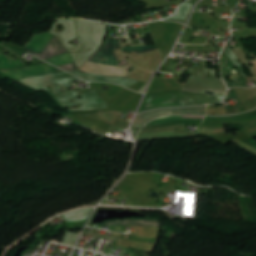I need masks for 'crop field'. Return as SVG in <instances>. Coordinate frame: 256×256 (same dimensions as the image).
<instances>
[{
	"instance_id": "obj_17",
	"label": "crop field",
	"mask_w": 256,
	"mask_h": 256,
	"mask_svg": "<svg viewBox=\"0 0 256 256\" xmlns=\"http://www.w3.org/2000/svg\"><path fill=\"white\" fill-rule=\"evenodd\" d=\"M85 234H86V235H91V236L100 237V238H107V239H111V240L117 241V238L110 237V236L99 235V234H93V233H88V232H85Z\"/></svg>"
},
{
	"instance_id": "obj_9",
	"label": "crop field",
	"mask_w": 256,
	"mask_h": 256,
	"mask_svg": "<svg viewBox=\"0 0 256 256\" xmlns=\"http://www.w3.org/2000/svg\"><path fill=\"white\" fill-rule=\"evenodd\" d=\"M226 62L229 70H222V75L223 78L226 80L229 88L233 87V86H242V87H247L246 83L244 82V80L242 79L241 75L236 71L233 63L231 62V60L229 59V57L227 56L225 50L223 51L222 55H221V67H224V63ZM231 75L234 83H230L227 79L226 76ZM238 80L239 83L236 82V80Z\"/></svg>"
},
{
	"instance_id": "obj_1",
	"label": "crop field",
	"mask_w": 256,
	"mask_h": 256,
	"mask_svg": "<svg viewBox=\"0 0 256 256\" xmlns=\"http://www.w3.org/2000/svg\"><path fill=\"white\" fill-rule=\"evenodd\" d=\"M205 89L226 92L222 79L190 76L182 90L204 92ZM214 91L213 95L189 93L180 90L148 93L139 112L163 107H183L203 104H215L224 100L226 93Z\"/></svg>"
},
{
	"instance_id": "obj_2",
	"label": "crop field",
	"mask_w": 256,
	"mask_h": 256,
	"mask_svg": "<svg viewBox=\"0 0 256 256\" xmlns=\"http://www.w3.org/2000/svg\"><path fill=\"white\" fill-rule=\"evenodd\" d=\"M24 50L66 71L78 70L71 55L58 38L50 33L34 36Z\"/></svg>"
},
{
	"instance_id": "obj_18",
	"label": "crop field",
	"mask_w": 256,
	"mask_h": 256,
	"mask_svg": "<svg viewBox=\"0 0 256 256\" xmlns=\"http://www.w3.org/2000/svg\"><path fill=\"white\" fill-rule=\"evenodd\" d=\"M132 239H134V240H139V241H143V242L154 243V244H155V242H156V240H153V239H145V238H139V237H135V236H133Z\"/></svg>"
},
{
	"instance_id": "obj_13",
	"label": "crop field",
	"mask_w": 256,
	"mask_h": 256,
	"mask_svg": "<svg viewBox=\"0 0 256 256\" xmlns=\"http://www.w3.org/2000/svg\"><path fill=\"white\" fill-rule=\"evenodd\" d=\"M193 6H194V5H192V4L188 3V2L184 3V4L179 8V10L177 11L176 15L173 16V17H171V18H169V19H167L166 21H169V20H171V19H173V18L186 19L187 16H188V14H189V12H190V10H191V8H192Z\"/></svg>"
},
{
	"instance_id": "obj_8",
	"label": "crop field",
	"mask_w": 256,
	"mask_h": 256,
	"mask_svg": "<svg viewBox=\"0 0 256 256\" xmlns=\"http://www.w3.org/2000/svg\"><path fill=\"white\" fill-rule=\"evenodd\" d=\"M86 81H106V82H113L117 83L123 86H126L128 88L134 86L137 84L138 80L129 79V78H121V77H100L96 75L86 74V73H80L79 71H72L70 72Z\"/></svg>"
},
{
	"instance_id": "obj_10",
	"label": "crop field",
	"mask_w": 256,
	"mask_h": 256,
	"mask_svg": "<svg viewBox=\"0 0 256 256\" xmlns=\"http://www.w3.org/2000/svg\"><path fill=\"white\" fill-rule=\"evenodd\" d=\"M101 225H129V226H160V221H142V220H116L107 221Z\"/></svg>"
},
{
	"instance_id": "obj_3",
	"label": "crop field",
	"mask_w": 256,
	"mask_h": 256,
	"mask_svg": "<svg viewBox=\"0 0 256 256\" xmlns=\"http://www.w3.org/2000/svg\"><path fill=\"white\" fill-rule=\"evenodd\" d=\"M101 48V47H100ZM114 49H121V40L107 39L102 48L96 52L89 61L117 66V58ZM102 60L103 62H100ZM100 65L92 62H86L80 67V70L87 71L98 75L124 76L127 75L126 68H118L114 66Z\"/></svg>"
},
{
	"instance_id": "obj_14",
	"label": "crop field",
	"mask_w": 256,
	"mask_h": 256,
	"mask_svg": "<svg viewBox=\"0 0 256 256\" xmlns=\"http://www.w3.org/2000/svg\"><path fill=\"white\" fill-rule=\"evenodd\" d=\"M226 52L228 53L230 59L232 60V62L235 64V66L238 68L240 74L242 75L243 78L247 77L244 73H243V69H242V65L241 63L237 62V57L234 54L233 50L229 48V45L227 44L226 48H225Z\"/></svg>"
},
{
	"instance_id": "obj_15",
	"label": "crop field",
	"mask_w": 256,
	"mask_h": 256,
	"mask_svg": "<svg viewBox=\"0 0 256 256\" xmlns=\"http://www.w3.org/2000/svg\"><path fill=\"white\" fill-rule=\"evenodd\" d=\"M77 237H78V234L66 231L61 243L73 246Z\"/></svg>"
},
{
	"instance_id": "obj_4",
	"label": "crop field",
	"mask_w": 256,
	"mask_h": 256,
	"mask_svg": "<svg viewBox=\"0 0 256 256\" xmlns=\"http://www.w3.org/2000/svg\"><path fill=\"white\" fill-rule=\"evenodd\" d=\"M0 68L1 72L17 81L30 76L64 72L50 64L26 68L19 60L7 59L3 53H0Z\"/></svg>"
},
{
	"instance_id": "obj_5",
	"label": "crop field",
	"mask_w": 256,
	"mask_h": 256,
	"mask_svg": "<svg viewBox=\"0 0 256 256\" xmlns=\"http://www.w3.org/2000/svg\"><path fill=\"white\" fill-rule=\"evenodd\" d=\"M77 96H80V94L77 91H67L58 95L55 100L62 108L81 104L82 108L75 110H70L69 108V112L89 111L103 109L107 107V104L103 101L98 92L94 90L82 94L83 99L81 100L77 99ZM71 100H74V102H70Z\"/></svg>"
},
{
	"instance_id": "obj_6",
	"label": "crop field",
	"mask_w": 256,
	"mask_h": 256,
	"mask_svg": "<svg viewBox=\"0 0 256 256\" xmlns=\"http://www.w3.org/2000/svg\"><path fill=\"white\" fill-rule=\"evenodd\" d=\"M79 80L67 73L62 74H53V75H46V76H37V77H30L19 81L25 86L31 87L37 91L43 90L46 91L49 95L53 96L55 94L60 93L59 88L63 86L66 89L70 87L73 81ZM47 85L52 86V91L54 94H51Z\"/></svg>"
},
{
	"instance_id": "obj_7",
	"label": "crop field",
	"mask_w": 256,
	"mask_h": 256,
	"mask_svg": "<svg viewBox=\"0 0 256 256\" xmlns=\"http://www.w3.org/2000/svg\"><path fill=\"white\" fill-rule=\"evenodd\" d=\"M206 106L192 108H177V109H160L142 113L138 115L134 121L133 127H139L150 119L166 113H205Z\"/></svg>"
},
{
	"instance_id": "obj_19",
	"label": "crop field",
	"mask_w": 256,
	"mask_h": 256,
	"mask_svg": "<svg viewBox=\"0 0 256 256\" xmlns=\"http://www.w3.org/2000/svg\"><path fill=\"white\" fill-rule=\"evenodd\" d=\"M123 229L122 226H112L110 230L123 233Z\"/></svg>"
},
{
	"instance_id": "obj_12",
	"label": "crop field",
	"mask_w": 256,
	"mask_h": 256,
	"mask_svg": "<svg viewBox=\"0 0 256 256\" xmlns=\"http://www.w3.org/2000/svg\"><path fill=\"white\" fill-rule=\"evenodd\" d=\"M91 210L92 208L77 210V211L63 215V218L65 219V221H68V222H80L89 217Z\"/></svg>"
},
{
	"instance_id": "obj_11",
	"label": "crop field",
	"mask_w": 256,
	"mask_h": 256,
	"mask_svg": "<svg viewBox=\"0 0 256 256\" xmlns=\"http://www.w3.org/2000/svg\"><path fill=\"white\" fill-rule=\"evenodd\" d=\"M179 117L204 118V117H196V116H179ZM186 120L202 121L203 119L178 118V116H168V117L157 118L151 121L150 123H148V125L145 127L153 126L157 124H167V123H173V122H179V121H186Z\"/></svg>"
},
{
	"instance_id": "obj_16",
	"label": "crop field",
	"mask_w": 256,
	"mask_h": 256,
	"mask_svg": "<svg viewBox=\"0 0 256 256\" xmlns=\"http://www.w3.org/2000/svg\"><path fill=\"white\" fill-rule=\"evenodd\" d=\"M156 45H150V46H139V47H128V48H123V52L126 51H136L138 53H144L152 49H156Z\"/></svg>"
}]
</instances>
